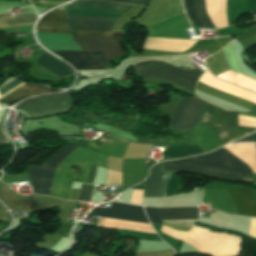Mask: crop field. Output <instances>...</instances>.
Wrapping results in <instances>:
<instances>
[{
    "mask_svg": "<svg viewBox=\"0 0 256 256\" xmlns=\"http://www.w3.org/2000/svg\"><path fill=\"white\" fill-rule=\"evenodd\" d=\"M23 83H25V82L17 79L15 81H13L12 83H10L9 85L5 86L4 88H2V89L0 88L1 89L0 97ZM23 85H21V86H23ZM21 86H19V87H21ZM18 88H16V89H18ZM16 89H14V90H16ZM57 91H61V90H52V89H48V88H44V87H40V86H36V85H32V84H27L14 92L11 91L12 93L9 92L11 94L7 93L9 95L6 94L7 96L4 95L5 97L2 96L4 98L1 97L2 99H0V102L2 104L5 103L10 106V105L15 104L16 102H18L22 99H25L29 96L57 92Z\"/></svg>",
    "mask_w": 256,
    "mask_h": 256,
    "instance_id": "d1516ede",
    "label": "crop field"
},
{
    "mask_svg": "<svg viewBox=\"0 0 256 256\" xmlns=\"http://www.w3.org/2000/svg\"><path fill=\"white\" fill-rule=\"evenodd\" d=\"M3 142H7V141L0 130V143H3Z\"/></svg>",
    "mask_w": 256,
    "mask_h": 256,
    "instance_id": "a9b5d70f",
    "label": "crop field"
},
{
    "mask_svg": "<svg viewBox=\"0 0 256 256\" xmlns=\"http://www.w3.org/2000/svg\"><path fill=\"white\" fill-rule=\"evenodd\" d=\"M73 6L112 9L119 11H127L131 9L132 4H121L113 2L92 1V0H76L69 4ZM82 7L64 6L66 13L95 15L105 17L119 18L125 12H118L112 10H100ZM83 15V16H84ZM68 16V25L71 31H111L117 19L114 18H99V17H83V16Z\"/></svg>",
    "mask_w": 256,
    "mask_h": 256,
    "instance_id": "412701ff",
    "label": "crop field"
},
{
    "mask_svg": "<svg viewBox=\"0 0 256 256\" xmlns=\"http://www.w3.org/2000/svg\"><path fill=\"white\" fill-rule=\"evenodd\" d=\"M37 31L73 33V35L122 37L123 33L70 32L63 11L55 10L45 15L39 22ZM114 37L73 36L83 51H104L106 59H114L123 54L120 39Z\"/></svg>",
    "mask_w": 256,
    "mask_h": 256,
    "instance_id": "34b2d1b8",
    "label": "crop field"
},
{
    "mask_svg": "<svg viewBox=\"0 0 256 256\" xmlns=\"http://www.w3.org/2000/svg\"><path fill=\"white\" fill-rule=\"evenodd\" d=\"M45 3V2H44Z\"/></svg>",
    "mask_w": 256,
    "mask_h": 256,
    "instance_id": "4177f3b9",
    "label": "crop field"
},
{
    "mask_svg": "<svg viewBox=\"0 0 256 256\" xmlns=\"http://www.w3.org/2000/svg\"><path fill=\"white\" fill-rule=\"evenodd\" d=\"M37 37L50 51H82L71 35L37 32ZM68 60L76 70L102 69L106 63L103 52H54Z\"/></svg>",
    "mask_w": 256,
    "mask_h": 256,
    "instance_id": "f4fd0767",
    "label": "crop field"
},
{
    "mask_svg": "<svg viewBox=\"0 0 256 256\" xmlns=\"http://www.w3.org/2000/svg\"><path fill=\"white\" fill-rule=\"evenodd\" d=\"M168 177V172H162V163L155 164L151 169L150 176L146 180V190L144 196H164ZM182 186V178L170 174L165 197L176 194L182 188Z\"/></svg>",
    "mask_w": 256,
    "mask_h": 256,
    "instance_id": "3316defc",
    "label": "crop field"
},
{
    "mask_svg": "<svg viewBox=\"0 0 256 256\" xmlns=\"http://www.w3.org/2000/svg\"><path fill=\"white\" fill-rule=\"evenodd\" d=\"M103 1H113V2H123V3L147 5L149 0H103Z\"/></svg>",
    "mask_w": 256,
    "mask_h": 256,
    "instance_id": "dafd665d",
    "label": "crop field"
},
{
    "mask_svg": "<svg viewBox=\"0 0 256 256\" xmlns=\"http://www.w3.org/2000/svg\"><path fill=\"white\" fill-rule=\"evenodd\" d=\"M146 213L150 219V221L152 223H161V220L159 218V213H158V209L155 208H149V207H145Z\"/></svg>",
    "mask_w": 256,
    "mask_h": 256,
    "instance_id": "214f88e0",
    "label": "crop field"
},
{
    "mask_svg": "<svg viewBox=\"0 0 256 256\" xmlns=\"http://www.w3.org/2000/svg\"><path fill=\"white\" fill-rule=\"evenodd\" d=\"M161 220L197 219L195 207L162 208L159 209Z\"/></svg>",
    "mask_w": 256,
    "mask_h": 256,
    "instance_id": "5142ce71",
    "label": "crop field"
},
{
    "mask_svg": "<svg viewBox=\"0 0 256 256\" xmlns=\"http://www.w3.org/2000/svg\"><path fill=\"white\" fill-rule=\"evenodd\" d=\"M73 107L69 92L32 99L19 104L16 109L24 110L30 118L43 117L67 112Z\"/></svg>",
    "mask_w": 256,
    "mask_h": 256,
    "instance_id": "5a996713",
    "label": "crop field"
},
{
    "mask_svg": "<svg viewBox=\"0 0 256 256\" xmlns=\"http://www.w3.org/2000/svg\"><path fill=\"white\" fill-rule=\"evenodd\" d=\"M240 41H242L247 46L256 42V28L252 29L250 32L246 33L243 36L237 37Z\"/></svg>",
    "mask_w": 256,
    "mask_h": 256,
    "instance_id": "bc2a9ffb",
    "label": "crop field"
},
{
    "mask_svg": "<svg viewBox=\"0 0 256 256\" xmlns=\"http://www.w3.org/2000/svg\"><path fill=\"white\" fill-rule=\"evenodd\" d=\"M36 19L37 16L31 14L21 15L18 17L5 16L4 14H0V27H14L33 24Z\"/></svg>",
    "mask_w": 256,
    "mask_h": 256,
    "instance_id": "4a817a6b",
    "label": "crop field"
},
{
    "mask_svg": "<svg viewBox=\"0 0 256 256\" xmlns=\"http://www.w3.org/2000/svg\"><path fill=\"white\" fill-rule=\"evenodd\" d=\"M199 153L203 152L199 147L195 145H166L163 156L182 158Z\"/></svg>",
    "mask_w": 256,
    "mask_h": 256,
    "instance_id": "d9b57169",
    "label": "crop field"
},
{
    "mask_svg": "<svg viewBox=\"0 0 256 256\" xmlns=\"http://www.w3.org/2000/svg\"><path fill=\"white\" fill-rule=\"evenodd\" d=\"M137 72L148 79H158L175 84L193 93L196 81L202 73L198 69L184 70L161 61H146L133 65Z\"/></svg>",
    "mask_w": 256,
    "mask_h": 256,
    "instance_id": "e52e79f7",
    "label": "crop field"
},
{
    "mask_svg": "<svg viewBox=\"0 0 256 256\" xmlns=\"http://www.w3.org/2000/svg\"><path fill=\"white\" fill-rule=\"evenodd\" d=\"M198 83L201 84V85H204V86H206V87H209V88H211V89H213V90H216V91H218V92H221V93H223V94H226V95H228V96H231V97H233V98H236V99H238V100H241V101H243V102H245V103H248V104L253 105V106L256 107V104H255V103H252V102H250V101H247V100H245V99H242V98H240V97H237V96H235V95H232V94L227 93V92H225V91H222V90H220V89H217V88H215V87H212V86L207 85V84H205V83H202V82H200V81H198Z\"/></svg>",
    "mask_w": 256,
    "mask_h": 256,
    "instance_id": "92a150f3",
    "label": "crop field"
},
{
    "mask_svg": "<svg viewBox=\"0 0 256 256\" xmlns=\"http://www.w3.org/2000/svg\"><path fill=\"white\" fill-rule=\"evenodd\" d=\"M237 214L256 217V205L250 190L227 189Z\"/></svg>",
    "mask_w": 256,
    "mask_h": 256,
    "instance_id": "cbeb9de0",
    "label": "crop field"
},
{
    "mask_svg": "<svg viewBox=\"0 0 256 256\" xmlns=\"http://www.w3.org/2000/svg\"><path fill=\"white\" fill-rule=\"evenodd\" d=\"M77 146L64 147L41 166L28 165V180L36 194H50L57 165ZM106 155L78 146L57 167L50 195L69 200L72 181L85 183L90 166L106 167ZM74 165L79 167L81 174L72 170Z\"/></svg>",
    "mask_w": 256,
    "mask_h": 256,
    "instance_id": "8a807250",
    "label": "crop field"
},
{
    "mask_svg": "<svg viewBox=\"0 0 256 256\" xmlns=\"http://www.w3.org/2000/svg\"><path fill=\"white\" fill-rule=\"evenodd\" d=\"M92 215L148 223L142 207L126 204L114 203L111 209L96 208Z\"/></svg>",
    "mask_w": 256,
    "mask_h": 256,
    "instance_id": "22f410ed",
    "label": "crop field"
},
{
    "mask_svg": "<svg viewBox=\"0 0 256 256\" xmlns=\"http://www.w3.org/2000/svg\"><path fill=\"white\" fill-rule=\"evenodd\" d=\"M181 160L195 161L203 164L223 166L231 169L251 171L250 167L245 164L242 160L234 156L232 153L224 149L223 147L216 151L197 157H187ZM195 162L187 161H169L165 162L164 168L170 170H189L193 172H199L207 175L234 178V179H245L250 180L252 173L231 170L223 167L203 165Z\"/></svg>",
    "mask_w": 256,
    "mask_h": 256,
    "instance_id": "ac0d7876",
    "label": "crop field"
},
{
    "mask_svg": "<svg viewBox=\"0 0 256 256\" xmlns=\"http://www.w3.org/2000/svg\"><path fill=\"white\" fill-rule=\"evenodd\" d=\"M240 141H253V142H256V133L251 135V136H249V137H247V138H244V139H242ZM240 141H237V142H240Z\"/></svg>",
    "mask_w": 256,
    "mask_h": 256,
    "instance_id": "00972430",
    "label": "crop field"
},
{
    "mask_svg": "<svg viewBox=\"0 0 256 256\" xmlns=\"http://www.w3.org/2000/svg\"><path fill=\"white\" fill-rule=\"evenodd\" d=\"M198 123L214 129L222 145L256 130L238 126V113L224 111L207 102Z\"/></svg>",
    "mask_w": 256,
    "mask_h": 256,
    "instance_id": "dd49c442",
    "label": "crop field"
},
{
    "mask_svg": "<svg viewBox=\"0 0 256 256\" xmlns=\"http://www.w3.org/2000/svg\"><path fill=\"white\" fill-rule=\"evenodd\" d=\"M37 63L41 64L42 66L46 67L47 69L59 76L67 75L73 72L71 69L55 59L49 53L41 56Z\"/></svg>",
    "mask_w": 256,
    "mask_h": 256,
    "instance_id": "733c2abd",
    "label": "crop field"
},
{
    "mask_svg": "<svg viewBox=\"0 0 256 256\" xmlns=\"http://www.w3.org/2000/svg\"><path fill=\"white\" fill-rule=\"evenodd\" d=\"M195 8L205 26L214 27L205 9V0H194ZM193 0H185L186 9L194 25H204L194 9ZM256 12V0H227V19L229 26L234 24L241 14ZM256 15V13H252Z\"/></svg>",
    "mask_w": 256,
    "mask_h": 256,
    "instance_id": "d8731c3e",
    "label": "crop field"
},
{
    "mask_svg": "<svg viewBox=\"0 0 256 256\" xmlns=\"http://www.w3.org/2000/svg\"><path fill=\"white\" fill-rule=\"evenodd\" d=\"M204 101L194 98L185 99L172 115V129L185 130L195 127L200 117Z\"/></svg>",
    "mask_w": 256,
    "mask_h": 256,
    "instance_id": "28ad6ade",
    "label": "crop field"
}]
</instances>
